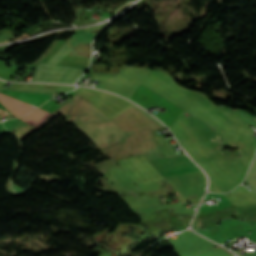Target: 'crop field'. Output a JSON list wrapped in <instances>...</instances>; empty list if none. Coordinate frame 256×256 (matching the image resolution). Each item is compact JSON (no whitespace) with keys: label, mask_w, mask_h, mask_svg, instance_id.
<instances>
[{"label":"crop field","mask_w":256,"mask_h":256,"mask_svg":"<svg viewBox=\"0 0 256 256\" xmlns=\"http://www.w3.org/2000/svg\"><path fill=\"white\" fill-rule=\"evenodd\" d=\"M0 101L17 117L25 115L36 108L3 93H0Z\"/></svg>","instance_id":"8a807250"}]
</instances>
